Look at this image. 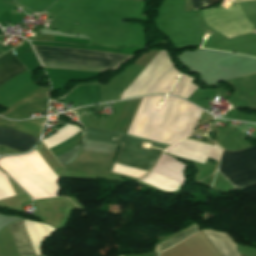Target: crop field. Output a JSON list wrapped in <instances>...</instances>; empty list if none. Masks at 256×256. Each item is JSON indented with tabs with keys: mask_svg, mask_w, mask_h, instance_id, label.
<instances>
[{
	"mask_svg": "<svg viewBox=\"0 0 256 256\" xmlns=\"http://www.w3.org/2000/svg\"><path fill=\"white\" fill-rule=\"evenodd\" d=\"M79 150H80V146L72 148V149L56 156V158L60 164H62V163L68 164V163L72 162L73 160H75V158L77 157V155L79 153Z\"/></svg>",
	"mask_w": 256,
	"mask_h": 256,
	"instance_id": "crop-field-10",
	"label": "crop field"
},
{
	"mask_svg": "<svg viewBox=\"0 0 256 256\" xmlns=\"http://www.w3.org/2000/svg\"><path fill=\"white\" fill-rule=\"evenodd\" d=\"M197 230H199V229H198L197 225L194 224V225L188 227L187 229L183 230L182 232L176 234L175 236H173L170 239L166 240L162 244L156 246V249H155L156 254L161 252V251H163V250H165V249H167V248H169V247H171L175 243L179 242L180 240H182L183 238L187 237L188 235L192 234L193 232H195Z\"/></svg>",
	"mask_w": 256,
	"mask_h": 256,
	"instance_id": "crop-field-8",
	"label": "crop field"
},
{
	"mask_svg": "<svg viewBox=\"0 0 256 256\" xmlns=\"http://www.w3.org/2000/svg\"><path fill=\"white\" fill-rule=\"evenodd\" d=\"M138 1H143V0H138Z\"/></svg>",
	"mask_w": 256,
	"mask_h": 256,
	"instance_id": "crop-field-13",
	"label": "crop field"
},
{
	"mask_svg": "<svg viewBox=\"0 0 256 256\" xmlns=\"http://www.w3.org/2000/svg\"><path fill=\"white\" fill-rule=\"evenodd\" d=\"M227 1H228V0H225V1H224V4H225ZM224 4H223V5H224Z\"/></svg>",
	"mask_w": 256,
	"mask_h": 256,
	"instance_id": "crop-field-12",
	"label": "crop field"
},
{
	"mask_svg": "<svg viewBox=\"0 0 256 256\" xmlns=\"http://www.w3.org/2000/svg\"><path fill=\"white\" fill-rule=\"evenodd\" d=\"M117 144L84 139L81 149L113 154Z\"/></svg>",
	"mask_w": 256,
	"mask_h": 256,
	"instance_id": "crop-field-9",
	"label": "crop field"
},
{
	"mask_svg": "<svg viewBox=\"0 0 256 256\" xmlns=\"http://www.w3.org/2000/svg\"><path fill=\"white\" fill-rule=\"evenodd\" d=\"M218 170L236 188L256 183V146L236 152L223 151Z\"/></svg>",
	"mask_w": 256,
	"mask_h": 256,
	"instance_id": "crop-field-3",
	"label": "crop field"
},
{
	"mask_svg": "<svg viewBox=\"0 0 256 256\" xmlns=\"http://www.w3.org/2000/svg\"><path fill=\"white\" fill-rule=\"evenodd\" d=\"M39 60L104 66L115 68L116 65L131 57L129 55H121L114 53H106L91 50H77L70 48H55V47H41L33 46ZM40 61L43 67L57 68V69H69V70H82V71H94L101 72L104 67L54 63Z\"/></svg>",
	"mask_w": 256,
	"mask_h": 256,
	"instance_id": "crop-field-1",
	"label": "crop field"
},
{
	"mask_svg": "<svg viewBox=\"0 0 256 256\" xmlns=\"http://www.w3.org/2000/svg\"><path fill=\"white\" fill-rule=\"evenodd\" d=\"M27 70L12 54L8 51L0 56V85Z\"/></svg>",
	"mask_w": 256,
	"mask_h": 256,
	"instance_id": "crop-field-5",
	"label": "crop field"
},
{
	"mask_svg": "<svg viewBox=\"0 0 256 256\" xmlns=\"http://www.w3.org/2000/svg\"><path fill=\"white\" fill-rule=\"evenodd\" d=\"M191 1H192L193 9L195 10L202 7L209 6V4L211 5L219 0H208L209 4L207 0H191Z\"/></svg>",
	"mask_w": 256,
	"mask_h": 256,
	"instance_id": "crop-field-11",
	"label": "crop field"
},
{
	"mask_svg": "<svg viewBox=\"0 0 256 256\" xmlns=\"http://www.w3.org/2000/svg\"><path fill=\"white\" fill-rule=\"evenodd\" d=\"M239 256H241V255H239Z\"/></svg>",
	"mask_w": 256,
	"mask_h": 256,
	"instance_id": "crop-field-14",
	"label": "crop field"
},
{
	"mask_svg": "<svg viewBox=\"0 0 256 256\" xmlns=\"http://www.w3.org/2000/svg\"><path fill=\"white\" fill-rule=\"evenodd\" d=\"M83 129V138L121 143L114 162L148 171H150L163 151L152 148L149 150L141 149L143 142H149L152 146L158 148H166L168 146L115 131L87 127H83Z\"/></svg>",
	"mask_w": 256,
	"mask_h": 256,
	"instance_id": "crop-field-2",
	"label": "crop field"
},
{
	"mask_svg": "<svg viewBox=\"0 0 256 256\" xmlns=\"http://www.w3.org/2000/svg\"><path fill=\"white\" fill-rule=\"evenodd\" d=\"M36 138L19 133L11 129H0V145H4L22 152L30 149Z\"/></svg>",
	"mask_w": 256,
	"mask_h": 256,
	"instance_id": "crop-field-4",
	"label": "crop field"
},
{
	"mask_svg": "<svg viewBox=\"0 0 256 256\" xmlns=\"http://www.w3.org/2000/svg\"><path fill=\"white\" fill-rule=\"evenodd\" d=\"M221 256H237L234 242L225 234L214 230H202Z\"/></svg>",
	"mask_w": 256,
	"mask_h": 256,
	"instance_id": "crop-field-6",
	"label": "crop field"
},
{
	"mask_svg": "<svg viewBox=\"0 0 256 256\" xmlns=\"http://www.w3.org/2000/svg\"><path fill=\"white\" fill-rule=\"evenodd\" d=\"M21 256H35L23 222L9 225Z\"/></svg>",
	"mask_w": 256,
	"mask_h": 256,
	"instance_id": "crop-field-7",
	"label": "crop field"
}]
</instances>
